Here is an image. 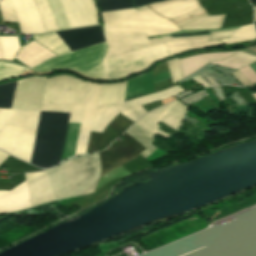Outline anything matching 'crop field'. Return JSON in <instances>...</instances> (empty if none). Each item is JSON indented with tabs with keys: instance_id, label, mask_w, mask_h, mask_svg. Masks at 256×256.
<instances>
[{
	"instance_id": "8a807250",
	"label": "crop field",
	"mask_w": 256,
	"mask_h": 256,
	"mask_svg": "<svg viewBox=\"0 0 256 256\" xmlns=\"http://www.w3.org/2000/svg\"><path fill=\"white\" fill-rule=\"evenodd\" d=\"M101 83L69 75L46 79L40 110L0 109V149L44 168L60 162L69 122L81 123L76 153H86L90 131L102 132L119 114L113 106L95 108Z\"/></svg>"
},
{
	"instance_id": "ac0d7876",
	"label": "crop field",
	"mask_w": 256,
	"mask_h": 256,
	"mask_svg": "<svg viewBox=\"0 0 256 256\" xmlns=\"http://www.w3.org/2000/svg\"><path fill=\"white\" fill-rule=\"evenodd\" d=\"M100 171L98 154L73 158L49 171L25 174L30 207L92 193ZM25 182L0 191V214L29 207Z\"/></svg>"
},
{
	"instance_id": "34b2d1b8",
	"label": "crop field",
	"mask_w": 256,
	"mask_h": 256,
	"mask_svg": "<svg viewBox=\"0 0 256 256\" xmlns=\"http://www.w3.org/2000/svg\"><path fill=\"white\" fill-rule=\"evenodd\" d=\"M104 36L109 46L103 60L105 80L132 76L169 57L165 43L151 46L145 34L104 33Z\"/></svg>"
},
{
	"instance_id": "412701ff",
	"label": "crop field",
	"mask_w": 256,
	"mask_h": 256,
	"mask_svg": "<svg viewBox=\"0 0 256 256\" xmlns=\"http://www.w3.org/2000/svg\"><path fill=\"white\" fill-rule=\"evenodd\" d=\"M104 32H140L147 36L179 31L170 21L155 15L149 9H124L101 13Z\"/></svg>"
},
{
	"instance_id": "f4fd0767",
	"label": "crop field",
	"mask_w": 256,
	"mask_h": 256,
	"mask_svg": "<svg viewBox=\"0 0 256 256\" xmlns=\"http://www.w3.org/2000/svg\"><path fill=\"white\" fill-rule=\"evenodd\" d=\"M107 48L106 42L97 44L51 59L33 70L46 72L56 69H71L89 78L102 79V59Z\"/></svg>"
},
{
	"instance_id": "dd49c442",
	"label": "crop field",
	"mask_w": 256,
	"mask_h": 256,
	"mask_svg": "<svg viewBox=\"0 0 256 256\" xmlns=\"http://www.w3.org/2000/svg\"><path fill=\"white\" fill-rule=\"evenodd\" d=\"M208 36L209 35L172 38L173 42L166 44L170 54L173 55L190 49L220 45L223 44V42L229 44L251 40L256 38V32L253 24H251L239 27L233 35L225 40L209 42Z\"/></svg>"
},
{
	"instance_id": "e52e79f7",
	"label": "crop field",
	"mask_w": 256,
	"mask_h": 256,
	"mask_svg": "<svg viewBox=\"0 0 256 256\" xmlns=\"http://www.w3.org/2000/svg\"><path fill=\"white\" fill-rule=\"evenodd\" d=\"M18 47L17 37H0L3 59H10ZM53 56L55 54L32 41L21 47L13 58L31 68Z\"/></svg>"
},
{
	"instance_id": "d8731c3e",
	"label": "crop field",
	"mask_w": 256,
	"mask_h": 256,
	"mask_svg": "<svg viewBox=\"0 0 256 256\" xmlns=\"http://www.w3.org/2000/svg\"><path fill=\"white\" fill-rule=\"evenodd\" d=\"M187 110L188 107L178 101H175L148 113L136 123L146 128L153 134L158 133L167 138V134L157 130L160 121L177 131Z\"/></svg>"
},
{
	"instance_id": "5a996713",
	"label": "crop field",
	"mask_w": 256,
	"mask_h": 256,
	"mask_svg": "<svg viewBox=\"0 0 256 256\" xmlns=\"http://www.w3.org/2000/svg\"><path fill=\"white\" fill-rule=\"evenodd\" d=\"M126 141L112 145L108 150L100 152L102 173L101 175L115 169L123 163L134 159L145 148L124 133L122 136Z\"/></svg>"
},
{
	"instance_id": "3316defc",
	"label": "crop field",
	"mask_w": 256,
	"mask_h": 256,
	"mask_svg": "<svg viewBox=\"0 0 256 256\" xmlns=\"http://www.w3.org/2000/svg\"><path fill=\"white\" fill-rule=\"evenodd\" d=\"M146 7L159 16L172 21L174 24L206 13L198 0H170L149 4Z\"/></svg>"
},
{
	"instance_id": "28ad6ade",
	"label": "crop field",
	"mask_w": 256,
	"mask_h": 256,
	"mask_svg": "<svg viewBox=\"0 0 256 256\" xmlns=\"http://www.w3.org/2000/svg\"><path fill=\"white\" fill-rule=\"evenodd\" d=\"M45 78L19 80L11 108L39 110Z\"/></svg>"
},
{
	"instance_id": "d1516ede",
	"label": "crop field",
	"mask_w": 256,
	"mask_h": 256,
	"mask_svg": "<svg viewBox=\"0 0 256 256\" xmlns=\"http://www.w3.org/2000/svg\"><path fill=\"white\" fill-rule=\"evenodd\" d=\"M72 28L99 24L93 0H61Z\"/></svg>"
},
{
	"instance_id": "22f410ed",
	"label": "crop field",
	"mask_w": 256,
	"mask_h": 256,
	"mask_svg": "<svg viewBox=\"0 0 256 256\" xmlns=\"http://www.w3.org/2000/svg\"><path fill=\"white\" fill-rule=\"evenodd\" d=\"M21 33H44L40 17L33 0H11Z\"/></svg>"
},
{
	"instance_id": "cbeb9de0",
	"label": "crop field",
	"mask_w": 256,
	"mask_h": 256,
	"mask_svg": "<svg viewBox=\"0 0 256 256\" xmlns=\"http://www.w3.org/2000/svg\"><path fill=\"white\" fill-rule=\"evenodd\" d=\"M34 1L37 6L39 15L41 17V20L46 32L54 31L58 29L64 30V29L71 28L60 0H47L51 8L52 14L54 16V19L56 21L58 29L56 27L55 21L53 19V16L51 14L47 1L46 0H34Z\"/></svg>"
},
{
	"instance_id": "5142ce71",
	"label": "crop field",
	"mask_w": 256,
	"mask_h": 256,
	"mask_svg": "<svg viewBox=\"0 0 256 256\" xmlns=\"http://www.w3.org/2000/svg\"><path fill=\"white\" fill-rule=\"evenodd\" d=\"M56 33L61 37L63 42L70 48L71 51L105 41L100 26L57 31Z\"/></svg>"
},
{
	"instance_id": "d9b57169",
	"label": "crop field",
	"mask_w": 256,
	"mask_h": 256,
	"mask_svg": "<svg viewBox=\"0 0 256 256\" xmlns=\"http://www.w3.org/2000/svg\"><path fill=\"white\" fill-rule=\"evenodd\" d=\"M126 81L118 84H103L101 85L100 94L97 100L98 106H107L112 104H118L124 101ZM129 111H131L138 118L144 115L140 109L136 106L133 100L121 103Z\"/></svg>"
},
{
	"instance_id": "733c2abd",
	"label": "crop field",
	"mask_w": 256,
	"mask_h": 256,
	"mask_svg": "<svg viewBox=\"0 0 256 256\" xmlns=\"http://www.w3.org/2000/svg\"><path fill=\"white\" fill-rule=\"evenodd\" d=\"M236 52H231V53H208V54H203V55H197L194 57L190 58H185V59H180V66L182 70V76L183 78L198 69L199 67L207 64L208 62H211L213 65H222V66H227L231 68H236L240 69L243 66L227 63L221 61L222 59L228 57L231 54H234Z\"/></svg>"
},
{
	"instance_id": "4a817a6b",
	"label": "crop field",
	"mask_w": 256,
	"mask_h": 256,
	"mask_svg": "<svg viewBox=\"0 0 256 256\" xmlns=\"http://www.w3.org/2000/svg\"><path fill=\"white\" fill-rule=\"evenodd\" d=\"M167 79H170L169 71H165L154 77L151 71L145 75H140L138 77L130 79L127 81L125 99L150 93V92H154L155 91L154 83L165 81Z\"/></svg>"
},
{
	"instance_id": "bc2a9ffb",
	"label": "crop field",
	"mask_w": 256,
	"mask_h": 256,
	"mask_svg": "<svg viewBox=\"0 0 256 256\" xmlns=\"http://www.w3.org/2000/svg\"><path fill=\"white\" fill-rule=\"evenodd\" d=\"M224 16H209L208 13L176 24L181 30L220 29Z\"/></svg>"
},
{
	"instance_id": "214f88e0",
	"label": "crop field",
	"mask_w": 256,
	"mask_h": 256,
	"mask_svg": "<svg viewBox=\"0 0 256 256\" xmlns=\"http://www.w3.org/2000/svg\"><path fill=\"white\" fill-rule=\"evenodd\" d=\"M132 138H134L137 142H139L146 149L141 153L143 157H147L150 153H152L156 147L151 145V142L154 140L155 135L145 130L138 124H134L127 132Z\"/></svg>"
},
{
	"instance_id": "92a150f3",
	"label": "crop field",
	"mask_w": 256,
	"mask_h": 256,
	"mask_svg": "<svg viewBox=\"0 0 256 256\" xmlns=\"http://www.w3.org/2000/svg\"><path fill=\"white\" fill-rule=\"evenodd\" d=\"M32 36H33V39H35L44 47L53 51L57 55L71 52L55 32H51L43 35H32Z\"/></svg>"
},
{
	"instance_id": "dafd665d",
	"label": "crop field",
	"mask_w": 256,
	"mask_h": 256,
	"mask_svg": "<svg viewBox=\"0 0 256 256\" xmlns=\"http://www.w3.org/2000/svg\"><path fill=\"white\" fill-rule=\"evenodd\" d=\"M116 137L108 129H104L102 133L91 132L88 142L87 153L98 151L99 147L106 148Z\"/></svg>"
},
{
	"instance_id": "00972430",
	"label": "crop field",
	"mask_w": 256,
	"mask_h": 256,
	"mask_svg": "<svg viewBox=\"0 0 256 256\" xmlns=\"http://www.w3.org/2000/svg\"><path fill=\"white\" fill-rule=\"evenodd\" d=\"M181 92H183V90L180 87L176 86V87L167 89L162 92L153 93V94H149L142 98L134 99V101L140 107V109L143 111V113L145 114L147 112L144 110V108L141 105L153 102L155 100L166 99L173 95L179 94Z\"/></svg>"
},
{
	"instance_id": "a9b5d70f",
	"label": "crop field",
	"mask_w": 256,
	"mask_h": 256,
	"mask_svg": "<svg viewBox=\"0 0 256 256\" xmlns=\"http://www.w3.org/2000/svg\"><path fill=\"white\" fill-rule=\"evenodd\" d=\"M80 124L70 123L62 160L74 156Z\"/></svg>"
},
{
	"instance_id": "4177f3b9",
	"label": "crop field",
	"mask_w": 256,
	"mask_h": 256,
	"mask_svg": "<svg viewBox=\"0 0 256 256\" xmlns=\"http://www.w3.org/2000/svg\"><path fill=\"white\" fill-rule=\"evenodd\" d=\"M23 70L29 71V69L23 66L5 61H0V80L21 75Z\"/></svg>"
},
{
	"instance_id": "730fd06b",
	"label": "crop field",
	"mask_w": 256,
	"mask_h": 256,
	"mask_svg": "<svg viewBox=\"0 0 256 256\" xmlns=\"http://www.w3.org/2000/svg\"><path fill=\"white\" fill-rule=\"evenodd\" d=\"M16 82L0 85V108H10Z\"/></svg>"
},
{
	"instance_id": "eef30255",
	"label": "crop field",
	"mask_w": 256,
	"mask_h": 256,
	"mask_svg": "<svg viewBox=\"0 0 256 256\" xmlns=\"http://www.w3.org/2000/svg\"><path fill=\"white\" fill-rule=\"evenodd\" d=\"M101 12L133 7L132 0H98Z\"/></svg>"
},
{
	"instance_id": "ae1a2a85",
	"label": "crop field",
	"mask_w": 256,
	"mask_h": 256,
	"mask_svg": "<svg viewBox=\"0 0 256 256\" xmlns=\"http://www.w3.org/2000/svg\"><path fill=\"white\" fill-rule=\"evenodd\" d=\"M224 61L247 66V65L253 63L254 61H256V56H253L248 53L240 51V52L224 59Z\"/></svg>"
},
{
	"instance_id": "d3111659",
	"label": "crop field",
	"mask_w": 256,
	"mask_h": 256,
	"mask_svg": "<svg viewBox=\"0 0 256 256\" xmlns=\"http://www.w3.org/2000/svg\"><path fill=\"white\" fill-rule=\"evenodd\" d=\"M133 123L134 122H132L131 120L119 114L107 126H109L111 129L121 135Z\"/></svg>"
},
{
	"instance_id": "750c4746",
	"label": "crop field",
	"mask_w": 256,
	"mask_h": 256,
	"mask_svg": "<svg viewBox=\"0 0 256 256\" xmlns=\"http://www.w3.org/2000/svg\"><path fill=\"white\" fill-rule=\"evenodd\" d=\"M0 12L4 21L17 22L9 0H2L0 2Z\"/></svg>"
},
{
	"instance_id": "bd1437ed",
	"label": "crop field",
	"mask_w": 256,
	"mask_h": 256,
	"mask_svg": "<svg viewBox=\"0 0 256 256\" xmlns=\"http://www.w3.org/2000/svg\"><path fill=\"white\" fill-rule=\"evenodd\" d=\"M167 63H168L169 69H170L173 83L182 79L177 58L173 59L171 61H168Z\"/></svg>"
},
{
	"instance_id": "1d83c4d3",
	"label": "crop field",
	"mask_w": 256,
	"mask_h": 256,
	"mask_svg": "<svg viewBox=\"0 0 256 256\" xmlns=\"http://www.w3.org/2000/svg\"><path fill=\"white\" fill-rule=\"evenodd\" d=\"M237 29L235 30H230V31H221V32H212L210 33L209 40H220V39H225L228 38L232 33H234Z\"/></svg>"
},
{
	"instance_id": "120bbe31",
	"label": "crop field",
	"mask_w": 256,
	"mask_h": 256,
	"mask_svg": "<svg viewBox=\"0 0 256 256\" xmlns=\"http://www.w3.org/2000/svg\"><path fill=\"white\" fill-rule=\"evenodd\" d=\"M240 71L253 83L256 82V73L249 67L240 69Z\"/></svg>"
},
{
	"instance_id": "d32e631a",
	"label": "crop field",
	"mask_w": 256,
	"mask_h": 256,
	"mask_svg": "<svg viewBox=\"0 0 256 256\" xmlns=\"http://www.w3.org/2000/svg\"><path fill=\"white\" fill-rule=\"evenodd\" d=\"M236 79H238L244 86L253 85L239 70L231 73Z\"/></svg>"
},
{
	"instance_id": "5866460e",
	"label": "crop field",
	"mask_w": 256,
	"mask_h": 256,
	"mask_svg": "<svg viewBox=\"0 0 256 256\" xmlns=\"http://www.w3.org/2000/svg\"><path fill=\"white\" fill-rule=\"evenodd\" d=\"M115 107L117 108V110L123 114L124 116L128 117L129 119L133 120L134 122L138 119L136 118L132 113H130L127 109H125L123 106H121L120 104L115 105Z\"/></svg>"
},
{
	"instance_id": "028f5c9d",
	"label": "crop field",
	"mask_w": 256,
	"mask_h": 256,
	"mask_svg": "<svg viewBox=\"0 0 256 256\" xmlns=\"http://www.w3.org/2000/svg\"><path fill=\"white\" fill-rule=\"evenodd\" d=\"M149 40H150L152 45L158 44V43H161V42L172 41L171 37H164V36L149 38Z\"/></svg>"
},
{
	"instance_id": "e1f06a70",
	"label": "crop field",
	"mask_w": 256,
	"mask_h": 256,
	"mask_svg": "<svg viewBox=\"0 0 256 256\" xmlns=\"http://www.w3.org/2000/svg\"><path fill=\"white\" fill-rule=\"evenodd\" d=\"M158 1H162V0H134V3L136 6L140 7L152 2H158Z\"/></svg>"
},
{
	"instance_id": "0bd39190",
	"label": "crop field",
	"mask_w": 256,
	"mask_h": 256,
	"mask_svg": "<svg viewBox=\"0 0 256 256\" xmlns=\"http://www.w3.org/2000/svg\"><path fill=\"white\" fill-rule=\"evenodd\" d=\"M191 79H193V80H195V81L201 83V85H202L203 87L209 86L199 75H197V76H195V77H193V78H191Z\"/></svg>"
},
{
	"instance_id": "b80d0937",
	"label": "crop field",
	"mask_w": 256,
	"mask_h": 256,
	"mask_svg": "<svg viewBox=\"0 0 256 256\" xmlns=\"http://www.w3.org/2000/svg\"><path fill=\"white\" fill-rule=\"evenodd\" d=\"M9 155L0 151V164L8 157Z\"/></svg>"
},
{
	"instance_id": "c035e120",
	"label": "crop field",
	"mask_w": 256,
	"mask_h": 256,
	"mask_svg": "<svg viewBox=\"0 0 256 256\" xmlns=\"http://www.w3.org/2000/svg\"><path fill=\"white\" fill-rule=\"evenodd\" d=\"M254 9H255V22H256V7Z\"/></svg>"
},
{
	"instance_id": "c21b1889",
	"label": "crop field",
	"mask_w": 256,
	"mask_h": 256,
	"mask_svg": "<svg viewBox=\"0 0 256 256\" xmlns=\"http://www.w3.org/2000/svg\"><path fill=\"white\" fill-rule=\"evenodd\" d=\"M250 2H256V0H250Z\"/></svg>"
},
{
	"instance_id": "03da06ac",
	"label": "crop field",
	"mask_w": 256,
	"mask_h": 256,
	"mask_svg": "<svg viewBox=\"0 0 256 256\" xmlns=\"http://www.w3.org/2000/svg\"><path fill=\"white\" fill-rule=\"evenodd\" d=\"M254 98L256 99V94H253Z\"/></svg>"
},
{
	"instance_id": "b54c1fbb",
	"label": "crop field",
	"mask_w": 256,
	"mask_h": 256,
	"mask_svg": "<svg viewBox=\"0 0 256 256\" xmlns=\"http://www.w3.org/2000/svg\"><path fill=\"white\" fill-rule=\"evenodd\" d=\"M0 59H2L1 52H0Z\"/></svg>"
},
{
	"instance_id": "5d738f31",
	"label": "crop field",
	"mask_w": 256,
	"mask_h": 256,
	"mask_svg": "<svg viewBox=\"0 0 256 256\" xmlns=\"http://www.w3.org/2000/svg\"><path fill=\"white\" fill-rule=\"evenodd\" d=\"M255 26H256V23H255Z\"/></svg>"
}]
</instances>
